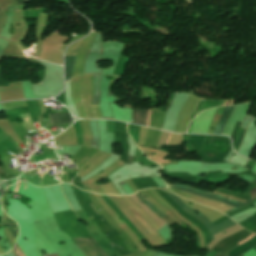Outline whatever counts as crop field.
<instances>
[{
    "label": "crop field",
    "mask_w": 256,
    "mask_h": 256,
    "mask_svg": "<svg viewBox=\"0 0 256 256\" xmlns=\"http://www.w3.org/2000/svg\"><path fill=\"white\" fill-rule=\"evenodd\" d=\"M168 195H170L175 201L176 203L188 214L192 215L193 217H195L196 219H198L200 222H202L207 229L210 232V237H211V241L214 240L213 235L226 230L234 225H236V223L232 222L231 219L226 220L225 222L214 226L207 218H205L201 213L199 215H197L195 213V211L193 209H190L189 207H187L180 199H178L175 195L166 192Z\"/></svg>",
    "instance_id": "obj_1"
},
{
    "label": "crop field",
    "mask_w": 256,
    "mask_h": 256,
    "mask_svg": "<svg viewBox=\"0 0 256 256\" xmlns=\"http://www.w3.org/2000/svg\"><path fill=\"white\" fill-rule=\"evenodd\" d=\"M250 232H248L247 230L243 229L231 236H228L224 239H222L217 245H215L213 247L212 250L218 251L220 253L226 254L229 251L233 250L234 248H236L238 245L242 244L243 242L247 241L248 239H250L252 236H254V234H252L251 236H249ZM249 236V237H248ZM248 237V238H246ZM244 238H246L245 240H243ZM243 240V241H241ZM241 241V242H240ZM238 242H240L238 245H236Z\"/></svg>",
    "instance_id": "obj_2"
},
{
    "label": "crop field",
    "mask_w": 256,
    "mask_h": 256,
    "mask_svg": "<svg viewBox=\"0 0 256 256\" xmlns=\"http://www.w3.org/2000/svg\"><path fill=\"white\" fill-rule=\"evenodd\" d=\"M170 188H174V189H178V190H182V191H187V192H190V193H193L195 195H198V196H202V197H205V198H208V199H212V200H216V201H220V202H224V203H228V204H231L233 206H235L236 208L232 209L231 211L229 212H226L225 214H228L236 209H239L241 207H244L246 206L247 204H249L252 200H248L246 201L244 204L242 203H238V202H234V201H227L217 195H213V194H208V193H205V192H201V191H197V190H194L192 188H188V187H183V186H178V185H173L171 186Z\"/></svg>",
    "instance_id": "obj_3"
},
{
    "label": "crop field",
    "mask_w": 256,
    "mask_h": 256,
    "mask_svg": "<svg viewBox=\"0 0 256 256\" xmlns=\"http://www.w3.org/2000/svg\"><path fill=\"white\" fill-rule=\"evenodd\" d=\"M52 126L67 124L72 122L70 113L48 114Z\"/></svg>",
    "instance_id": "obj_4"
},
{
    "label": "crop field",
    "mask_w": 256,
    "mask_h": 256,
    "mask_svg": "<svg viewBox=\"0 0 256 256\" xmlns=\"http://www.w3.org/2000/svg\"><path fill=\"white\" fill-rule=\"evenodd\" d=\"M147 114H148V110L133 109L132 123L146 126ZM149 116H150V110H149V114H148L147 126H149Z\"/></svg>",
    "instance_id": "obj_5"
},
{
    "label": "crop field",
    "mask_w": 256,
    "mask_h": 256,
    "mask_svg": "<svg viewBox=\"0 0 256 256\" xmlns=\"http://www.w3.org/2000/svg\"><path fill=\"white\" fill-rule=\"evenodd\" d=\"M105 202L120 216L123 215L117 208V206L106 196L101 195ZM124 216V215H123ZM129 227L130 229L141 239V241L144 239V237L139 233V231L131 224V222L124 216L122 219Z\"/></svg>",
    "instance_id": "obj_6"
},
{
    "label": "crop field",
    "mask_w": 256,
    "mask_h": 256,
    "mask_svg": "<svg viewBox=\"0 0 256 256\" xmlns=\"http://www.w3.org/2000/svg\"><path fill=\"white\" fill-rule=\"evenodd\" d=\"M234 106L226 107L213 134H220Z\"/></svg>",
    "instance_id": "obj_7"
},
{
    "label": "crop field",
    "mask_w": 256,
    "mask_h": 256,
    "mask_svg": "<svg viewBox=\"0 0 256 256\" xmlns=\"http://www.w3.org/2000/svg\"><path fill=\"white\" fill-rule=\"evenodd\" d=\"M75 59H76V56L65 55L66 80L71 78V73H72Z\"/></svg>",
    "instance_id": "obj_8"
},
{
    "label": "crop field",
    "mask_w": 256,
    "mask_h": 256,
    "mask_svg": "<svg viewBox=\"0 0 256 256\" xmlns=\"http://www.w3.org/2000/svg\"><path fill=\"white\" fill-rule=\"evenodd\" d=\"M137 196L142 200L145 201V204L152 210L154 211L162 220H164L165 222H167L166 219V215L163 214L158 208H156L151 202H149L147 199H145L142 195V193L139 191L138 193H136Z\"/></svg>",
    "instance_id": "obj_9"
},
{
    "label": "crop field",
    "mask_w": 256,
    "mask_h": 256,
    "mask_svg": "<svg viewBox=\"0 0 256 256\" xmlns=\"http://www.w3.org/2000/svg\"><path fill=\"white\" fill-rule=\"evenodd\" d=\"M139 127L138 125L128 124V133L133 138L134 142L137 144L138 135H139Z\"/></svg>",
    "instance_id": "obj_10"
},
{
    "label": "crop field",
    "mask_w": 256,
    "mask_h": 256,
    "mask_svg": "<svg viewBox=\"0 0 256 256\" xmlns=\"http://www.w3.org/2000/svg\"><path fill=\"white\" fill-rule=\"evenodd\" d=\"M134 161H141L144 165H157L143 156V153L137 148Z\"/></svg>",
    "instance_id": "obj_11"
},
{
    "label": "crop field",
    "mask_w": 256,
    "mask_h": 256,
    "mask_svg": "<svg viewBox=\"0 0 256 256\" xmlns=\"http://www.w3.org/2000/svg\"><path fill=\"white\" fill-rule=\"evenodd\" d=\"M220 102V100H204L202 106L200 107L198 113H200L201 111L208 109V108H212L218 105V103ZM197 113V114H198Z\"/></svg>",
    "instance_id": "obj_12"
},
{
    "label": "crop field",
    "mask_w": 256,
    "mask_h": 256,
    "mask_svg": "<svg viewBox=\"0 0 256 256\" xmlns=\"http://www.w3.org/2000/svg\"><path fill=\"white\" fill-rule=\"evenodd\" d=\"M246 129H247V128H244V127H241V128H240L239 135H238V137H237V139H236V142H235V144H234V147H233L235 151H237V149H238V147H239V145H240V143H241V141H242V139H243V137H244V134H245V132H246Z\"/></svg>",
    "instance_id": "obj_13"
},
{
    "label": "crop field",
    "mask_w": 256,
    "mask_h": 256,
    "mask_svg": "<svg viewBox=\"0 0 256 256\" xmlns=\"http://www.w3.org/2000/svg\"><path fill=\"white\" fill-rule=\"evenodd\" d=\"M10 219L8 218V222H9ZM11 221H13V220H11ZM9 229H10L12 235L14 236V238L16 239V237L18 235V227H17V225L16 224L13 225L11 222H9Z\"/></svg>",
    "instance_id": "obj_14"
},
{
    "label": "crop field",
    "mask_w": 256,
    "mask_h": 256,
    "mask_svg": "<svg viewBox=\"0 0 256 256\" xmlns=\"http://www.w3.org/2000/svg\"><path fill=\"white\" fill-rule=\"evenodd\" d=\"M241 123H242V122H240V121L238 120V122H237V124H236V126H235V128H234V131H233V133H232V135H231V138H232V140H233V144H234V141H235V139H236V137H237V135H238V132H239V128H240Z\"/></svg>",
    "instance_id": "obj_15"
},
{
    "label": "crop field",
    "mask_w": 256,
    "mask_h": 256,
    "mask_svg": "<svg viewBox=\"0 0 256 256\" xmlns=\"http://www.w3.org/2000/svg\"><path fill=\"white\" fill-rule=\"evenodd\" d=\"M255 246H256V241H255L252 245L248 246L247 248H245L244 250H242L241 252L237 253V254L234 255V256H240V255H242V254L248 252L249 250H251V249L254 248Z\"/></svg>",
    "instance_id": "obj_16"
},
{
    "label": "crop field",
    "mask_w": 256,
    "mask_h": 256,
    "mask_svg": "<svg viewBox=\"0 0 256 256\" xmlns=\"http://www.w3.org/2000/svg\"><path fill=\"white\" fill-rule=\"evenodd\" d=\"M107 121V131L114 132V121L106 120Z\"/></svg>",
    "instance_id": "obj_17"
},
{
    "label": "crop field",
    "mask_w": 256,
    "mask_h": 256,
    "mask_svg": "<svg viewBox=\"0 0 256 256\" xmlns=\"http://www.w3.org/2000/svg\"><path fill=\"white\" fill-rule=\"evenodd\" d=\"M250 193L252 194L251 199H254V197L256 196V189H252Z\"/></svg>",
    "instance_id": "obj_18"
},
{
    "label": "crop field",
    "mask_w": 256,
    "mask_h": 256,
    "mask_svg": "<svg viewBox=\"0 0 256 256\" xmlns=\"http://www.w3.org/2000/svg\"><path fill=\"white\" fill-rule=\"evenodd\" d=\"M227 101H228V100H226V101H225L224 105H226ZM223 102H224V100H221V102H220L219 106H220V105H222V104H223Z\"/></svg>",
    "instance_id": "obj_19"
},
{
    "label": "crop field",
    "mask_w": 256,
    "mask_h": 256,
    "mask_svg": "<svg viewBox=\"0 0 256 256\" xmlns=\"http://www.w3.org/2000/svg\"><path fill=\"white\" fill-rule=\"evenodd\" d=\"M223 109H224V107H220V108L217 109V111L222 112Z\"/></svg>",
    "instance_id": "obj_20"
},
{
    "label": "crop field",
    "mask_w": 256,
    "mask_h": 256,
    "mask_svg": "<svg viewBox=\"0 0 256 256\" xmlns=\"http://www.w3.org/2000/svg\"><path fill=\"white\" fill-rule=\"evenodd\" d=\"M171 135H172V133L170 134L169 139H168V141H167L166 145H168V144H169V141H170Z\"/></svg>",
    "instance_id": "obj_21"
},
{
    "label": "crop field",
    "mask_w": 256,
    "mask_h": 256,
    "mask_svg": "<svg viewBox=\"0 0 256 256\" xmlns=\"http://www.w3.org/2000/svg\"><path fill=\"white\" fill-rule=\"evenodd\" d=\"M20 183H21V182H18V185H17V188H16V191H15V192L18 191V188H19V186H20Z\"/></svg>",
    "instance_id": "obj_22"
},
{
    "label": "crop field",
    "mask_w": 256,
    "mask_h": 256,
    "mask_svg": "<svg viewBox=\"0 0 256 256\" xmlns=\"http://www.w3.org/2000/svg\"><path fill=\"white\" fill-rule=\"evenodd\" d=\"M46 256H59L58 254L46 255Z\"/></svg>",
    "instance_id": "obj_23"
},
{
    "label": "crop field",
    "mask_w": 256,
    "mask_h": 256,
    "mask_svg": "<svg viewBox=\"0 0 256 256\" xmlns=\"http://www.w3.org/2000/svg\"><path fill=\"white\" fill-rule=\"evenodd\" d=\"M232 101H233V100H231V101H230L229 105H231V104H232Z\"/></svg>",
    "instance_id": "obj_24"
},
{
    "label": "crop field",
    "mask_w": 256,
    "mask_h": 256,
    "mask_svg": "<svg viewBox=\"0 0 256 256\" xmlns=\"http://www.w3.org/2000/svg\"><path fill=\"white\" fill-rule=\"evenodd\" d=\"M254 233H256V227H255V229H254V231H253Z\"/></svg>",
    "instance_id": "obj_25"
},
{
    "label": "crop field",
    "mask_w": 256,
    "mask_h": 256,
    "mask_svg": "<svg viewBox=\"0 0 256 256\" xmlns=\"http://www.w3.org/2000/svg\"><path fill=\"white\" fill-rule=\"evenodd\" d=\"M154 256H162V255H158V254H156V255H154Z\"/></svg>",
    "instance_id": "obj_26"
}]
</instances>
